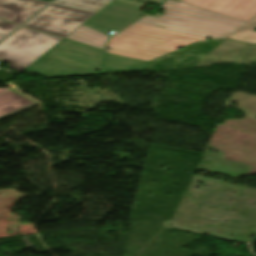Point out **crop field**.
I'll return each instance as SVG.
<instances>
[{
    "label": "crop field",
    "mask_w": 256,
    "mask_h": 256,
    "mask_svg": "<svg viewBox=\"0 0 256 256\" xmlns=\"http://www.w3.org/2000/svg\"><path fill=\"white\" fill-rule=\"evenodd\" d=\"M110 1L111 0H57L54 3L82 10L97 12Z\"/></svg>",
    "instance_id": "obj_8"
},
{
    "label": "crop field",
    "mask_w": 256,
    "mask_h": 256,
    "mask_svg": "<svg viewBox=\"0 0 256 256\" xmlns=\"http://www.w3.org/2000/svg\"><path fill=\"white\" fill-rule=\"evenodd\" d=\"M201 9L247 22L256 15V0H178Z\"/></svg>",
    "instance_id": "obj_5"
},
{
    "label": "crop field",
    "mask_w": 256,
    "mask_h": 256,
    "mask_svg": "<svg viewBox=\"0 0 256 256\" xmlns=\"http://www.w3.org/2000/svg\"><path fill=\"white\" fill-rule=\"evenodd\" d=\"M18 25L0 20V40L4 38L8 33L15 29Z\"/></svg>",
    "instance_id": "obj_10"
},
{
    "label": "crop field",
    "mask_w": 256,
    "mask_h": 256,
    "mask_svg": "<svg viewBox=\"0 0 256 256\" xmlns=\"http://www.w3.org/2000/svg\"><path fill=\"white\" fill-rule=\"evenodd\" d=\"M256 28V16L241 27L230 39L256 44V32H251Z\"/></svg>",
    "instance_id": "obj_9"
},
{
    "label": "crop field",
    "mask_w": 256,
    "mask_h": 256,
    "mask_svg": "<svg viewBox=\"0 0 256 256\" xmlns=\"http://www.w3.org/2000/svg\"><path fill=\"white\" fill-rule=\"evenodd\" d=\"M37 104L36 101L9 88L7 92L0 95V120Z\"/></svg>",
    "instance_id": "obj_7"
},
{
    "label": "crop field",
    "mask_w": 256,
    "mask_h": 256,
    "mask_svg": "<svg viewBox=\"0 0 256 256\" xmlns=\"http://www.w3.org/2000/svg\"><path fill=\"white\" fill-rule=\"evenodd\" d=\"M93 14L52 4L24 26L65 38Z\"/></svg>",
    "instance_id": "obj_4"
},
{
    "label": "crop field",
    "mask_w": 256,
    "mask_h": 256,
    "mask_svg": "<svg viewBox=\"0 0 256 256\" xmlns=\"http://www.w3.org/2000/svg\"><path fill=\"white\" fill-rule=\"evenodd\" d=\"M143 3L112 0L79 28L60 41L25 70L46 78L96 75L106 33L118 31L138 19Z\"/></svg>",
    "instance_id": "obj_2"
},
{
    "label": "crop field",
    "mask_w": 256,
    "mask_h": 256,
    "mask_svg": "<svg viewBox=\"0 0 256 256\" xmlns=\"http://www.w3.org/2000/svg\"><path fill=\"white\" fill-rule=\"evenodd\" d=\"M46 4L37 0H0V18L21 25Z\"/></svg>",
    "instance_id": "obj_6"
},
{
    "label": "crop field",
    "mask_w": 256,
    "mask_h": 256,
    "mask_svg": "<svg viewBox=\"0 0 256 256\" xmlns=\"http://www.w3.org/2000/svg\"><path fill=\"white\" fill-rule=\"evenodd\" d=\"M6 89H7V88H4V89H0V93H1V92H3V91H5Z\"/></svg>",
    "instance_id": "obj_11"
},
{
    "label": "crop field",
    "mask_w": 256,
    "mask_h": 256,
    "mask_svg": "<svg viewBox=\"0 0 256 256\" xmlns=\"http://www.w3.org/2000/svg\"><path fill=\"white\" fill-rule=\"evenodd\" d=\"M60 40L21 27L0 44V60L21 71Z\"/></svg>",
    "instance_id": "obj_3"
},
{
    "label": "crop field",
    "mask_w": 256,
    "mask_h": 256,
    "mask_svg": "<svg viewBox=\"0 0 256 256\" xmlns=\"http://www.w3.org/2000/svg\"><path fill=\"white\" fill-rule=\"evenodd\" d=\"M138 1L161 5L165 14L146 15L113 36L106 46L111 49L105 51L101 73L143 70L149 65L145 61L207 37L224 40L245 24L174 0Z\"/></svg>",
    "instance_id": "obj_1"
},
{
    "label": "crop field",
    "mask_w": 256,
    "mask_h": 256,
    "mask_svg": "<svg viewBox=\"0 0 256 256\" xmlns=\"http://www.w3.org/2000/svg\"><path fill=\"white\" fill-rule=\"evenodd\" d=\"M42 1H47V2H50L51 0H42Z\"/></svg>",
    "instance_id": "obj_12"
}]
</instances>
